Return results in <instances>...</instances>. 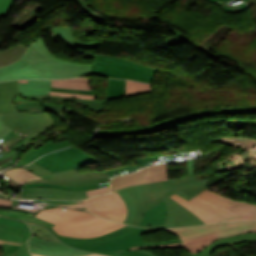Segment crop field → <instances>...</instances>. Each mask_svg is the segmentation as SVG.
Listing matches in <instances>:
<instances>
[{"label": "crop field", "instance_id": "crop-field-36", "mask_svg": "<svg viewBox=\"0 0 256 256\" xmlns=\"http://www.w3.org/2000/svg\"><path fill=\"white\" fill-rule=\"evenodd\" d=\"M28 224L31 227L34 235H36L40 238L47 239V240L59 241L47 229H45L39 225H34V224H30V223H28Z\"/></svg>", "mask_w": 256, "mask_h": 256}, {"label": "crop field", "instance_id": "crop-field-64", "mask_svg": "<svg viewBox=\"0 0 256 256\" xmlns=\"http://www.w3.org/2000/svg\"><path fill=\"white\" fill-rule=\"evenodd\" d=\"M209 1L216 3L218 0H209Z\"/></svg>", "mask_w": 256, "mask_h": 256}, {"label": "crop field", "instance_id": "crop-field-35", "mask_svg": "<svg viewBox=\"0 0 256 256\" xmlns=\"http://www.w3.org/2000/svg\"><path fill=\"white\" fill-rule=\"evenodd\" d=\"M30 250L33 252H37L44 255H52V256H75V255H84V254H90L85 251H73V252H56V251H49V250H42L37 249L30 246Z\"/></svg>", "mask_w": 256, "mask_h": 256}, {"label": "crop field", "instance_id": "crop-field-59", "mask_svg": "<svg viewBox=\"0 0 256 256\" xmlns=\"http://www.w3.org/2000/svg\"><path fill=\"white\" fill-rule=\"evenodd\" d=\"M32 253V252H31ZM33 256H44V255H40V254H36V253H32ZM84 256H102V255H99V254H95V253H92L90 255H84Z\"/></svg>", "mask_w": 256, "mask_h": 256}, {"label": "crop field", "instance_id": "crop-field-48", "mask_svg": "<svg viewBox=\"0 0 256 256\" xmlns=\"http://www.w3.org/2000/svg\"><path fill=\"white\" fill-rule=\"evenodd\" d=\"M15 256H31L27 249V242L19 247Z\"/></svg>", "mask_w": 256, "mask_h": 256}, {"label": "crop field", "instance_id": "crop-field-1", "mask_svg": "<svg viewBox=\"0 0 256 256\" xmlns=\"http://www.w3.org/2000/svg\"><path fill=\"white\" fill-rule=\"evenodd\" d=\"M205 189L206 187L184 176L169 181L138 185L120 190L118 192L124 198L128 208V215L124 223L138 226L143 218L144 211L165 200L169 210L165 224L148 227H177L203 224L204 222L198 219L191 211L173 201L174 199L172 200L169 196L176 193L189 200Z\"/></svg>", "mask_w": 256, "mask_h": 256}, {"label": "crop field", "instance_id": "crop-field-28", "mask_svg": "<svg viewBox=\"0 0 256 256\" xmlns=\"http://www.w3.org/2000/svg\"><path fill=\"white\" fill-rule=\"evenodd\" d=\"M217 239L219 238L214 233L211 235L184 241L183 244L193 254L202 250L205 246H207L208 244L212 243L214 240Z\"/></svg>", "mask_w": 256, "mask_h": 256}, {"label": "crop field", "instance_id": "crop-field-30", "mask_svg": "<svg viewBox=\"0 0 256 256\" xmlns=\"http://www.w3.org/2000/svg\"><path fill=\"white\" fill-rule=\"evenodd\" d=\"M29 244L37 247V248H43V249H50V250H56V251H73L77 249L70 248L61 242H51V241H46L43 239H39L35 236H32Z\"/></svg>", "mask_w": 256, "mask_h": 256}, {"label": "crop field", "instance_id": "crop-field-17", "mask_svg": "<svg viewBox=\"0 0 256 256\" xmlns=\"http://www.w3.org/2000/svg\"><path fill=\"white\" fill-rule=\"evenodd\" d=\"M174 126L172 118L157 122L151 126L134 129V130H98L99 135H138L164 131Z\"/></svg>", "mask_w": 256, "mask_h": 256}, {"label": "crop field", "instance_id": "crop-field-55", "mask_svg": "<svg viewBox=\"0 0 256 256\" xmlns=\"http://www.w3.org/2000/svg\"><path fill=\"white\" fill-rule=\"evenodd\" d=\"M19 82H50V80H18Z\"/></svg>", "mask_w": 256, "mask_h": 256}, {"label": "crop field", "instance_id": "crop-field-26", "mask_svg": "<svg viewBox=\"0 0 256 256\" xmlns=\"http://www.w3.org/2000/svg\"><path fill=\"white\" fill-rule=\"evenodd\" d=\"M19 91L25 95H48L50 83H18Z\"/></svg>", "mask_w": 256, "mask_h": 256}, {"label": "crop field", "instance_id": "crop-field-39", "mask_svg": "<svg viewBox=\"0 0 256 256\" xmlns=\"http://www.w3.org/2000/svg\"><path fill=\"white\" fill-rule=\"evenodd\" d=\"M25 65H27V64L19 59L18 61H16L13 64H10V65H8L6 67L0 68V75L3 74V73L9 72V71L18 69L20 67H23Z\"/></svg>", "mask_w": 256, "mask_h": 256}, {"label": "crop field", "instance_id": "crop-field-42", "mask_svg": "<svg viewBox=\"0 0 256 256\" xmlns=\"http://www.w3.org/2000/svg\"><path fill=\"white\" fill-rule=\"evenodd\" d=\"M13 0H0V16H5Z\"/></svg>", "mask_w": 256, "mask_h": 256}, {"label": "crop field", "instance_id": "crop-field-12", "mask_svg": "<svg viewBox=\"0 0 256 256\" xmlns=\"http://www.w3.org/2000/svg\"><path fill=\"white\" fill-rule=\"evenodd\" d=\"M168 165L159 164L146 167L136 173L112 178V191L132 185L168 180Z\"/></svg>", "mask_w": 256, "mask_h": 256}, {"label": "crop field", "instance_id": "crop-field-43", "mask_svg": "<svg viewBox=\"0 0 256 256\" xmlns=\"http://www.w3.org/2000/svg\"><path fill=\"white\" fill-rule=\"evenodd\" d=\"M249 108H237V109H218L217 113H248Z\"/></svg>", "mask_w": 256, "mask_h": 256}, {"label": "crop field", "instance_id": "crop-field-54", "mask_svg": "<svg viewBox=\"0 0 256 256\" xmlns=\"http://www.w3.org/2000/svg\"><path fill=\"white\" fill-rule=\"evenodd\" d=\"M194 158L187 161L189 174L192 175Z\"/></svg>", "mask_w": 256, "mask_h": 256}, {"label": "crop field", "instance_id": "crop-field-16", "mask_svg": "<svg viewBox=\"0 0 256 256\" xmlns=\"http://www.w3.org/2000/svg\"><path fill=\"white\" fill-rule=\"evenodd\" d=\"M17 81L0 82V114H8L17 112L12 101L18 94Z\"/></svg>", "mask_w": 256, "mask_h": 256}, {"label": "crop field", "instance_id": "crop-field-13", "mask_svg": "<svg viewBox=\"0 0 256 256\" xmlns=\"http://www.w3.org/2000/svg\"><path fill=\"white\" fill-rule=\"evenodd\" d=\"M202 154L203 153L201 150H196V151H189V152L166 155V156L139 158V159H134L137 164L136 166H128L124 168H117L114 170H106V172L110 176V178H112L116 175L129 173V172L138 170L144 166H149L151 164L165 163V162H182L191 157L199 156Z\"/></svg>", "mask_w": 256, "mask_h": 256}, {"label": "crop field", "instance_id": "crop-field-21", "mask_svg": "<svg viewBox=\"0 0 256 256\" xmlns=\"http://www.w3.org/2000/svg\"><path fill=\"white\" fill-rule=\"evenodd\" d=\"M21 96H23L25 98L41 101V102L64 103V102L56 101L55 99L73 100L77 103L86 105L87 107L93 109L95 112H104L105 101L65 98V97H56V96H24V95H21Z\"/></svg>", "mask_w": 256, "mask_h": 256}, {"label": "crop field", "instance_id": "crop-field-10", "mask_svg": "<svg viewBox=\"0 0 256 256\" xmlns=\"http://www.w3.org/2000/svg\"><path fill=\"white\" fill-rule=\"evenodd\" d=\"M97 162L92 156L84 151L70 147L61 151L45 155L34 163L43 166L53 172L63 171L74 168L79 172L80 166Z\"/></svg>", "mask_w": 256, "mask_h": 256}, {"label": "crop field", "instance_id": "crop-field-24", "mask_svg": "<svg viewBox=\"0 0 256 256\" xmlns=\"http://www.w3.org/2000/svg\"><path fill=\"white\" fill-rule=\"evenodd\" d=\"M2 173L7 175L8 177L12 178L13 180H15L21 186L29 180H44L40 176L22 168V167L9 169Z\"/></svg>", "mask_w": 256, "mask_h": 256}, {"label": "crop field", "instance_id": "crop-field-22", "mask_svg": "<svg viewBox=\"0 0 256 256\" xmlns=\"http://www.w3.org/2000/svg\"><path fill=\"white\" fill-rule=\"evenodd\" d=\"M228 211L239 214L243 217L225 219L221 221L256 220V205L237 201Z\"/></svg>", "mask_w": 256, "mask_h": 256}, {"label": "crop field", "instance_id": "crop-field-62", "mask_svg": "<svg viewBox=\"0 0 256 256\" xmlns=\"http://www.w3.org/2000/svg\"><path fill=\"white\" fill-rule=\"evenodd\" d=\"M237 68H239V67H237ZM240 70H242V71H244V72H246L245 70H243V69H241V68H239ZM247 73V72H246ZM245 73V74H246ZM249 76H251L254 80H256V78L254 77V76H252V75H250L249 73H247Z\"/></svg>", "mask_w": 256, "mask_h": 256}, {"label": "crop field", "instance_id": "crop-field-44", "mask_svg": "<svg viewBox=\"0 0 256 256\" xmlns=\"http://www.w3.org/2000/svg\"><path fill=\"white\" fill-rule=\"evenodd\" d=\"M31 140H32V139L27 136L25 139H23V140H21L20 142L16 143L14 146L9 147V148H7L6 150L0 152V154H3V153H5V152H7V151H9V150H11V149H13V148H15V149L17 150V149H19L21 146L27 144V143H28L29 141H31Z\"/></svg>", "mask_w": 256, "mask_h": 256}, {"label": "crop field", "instance_id": "crop-field-7", "mask_svg": "<svg viewBox=\"0 0 256 256\" xmlns=\"http://www.w3.org/2000/svg\"><path fill=\"white\" fill-rule=\"evenodd\" d=\"M84 203L68 204L64 206L82 208L87 207V210L101 217L123 223L127 208L118 192L95 196L83 201ZM62 205V204H59Z\"/></svg>", "mask_w": 256, "mask_h": 256}, {"label": "crop field", "instance_id": "crop-field-31", "mask_svg": "<svg viewBox=\"0 0 256 256\" xmlns=\"http://www.w3.org/2000/svg\"><path fill=\"white\" fill-rule=\"evenodd\" d=\"M107 186H109V182L87 185V186H79V187H64V186L49 184V183H28V184H25V186L23 188H26V187H53V188H61V189H69V190H90V189L102 188V187H107Z\"/></svg>", "mask_w": 256, "mask_h": 256}, {"label": "crop field", "instance_id": "crop-field-65", "mask_svg": "<svg viewBox=\"0 0 256 256\" xmlns=\"http://www.w3.org/2000/svg\"><path fill=\"white\" fill-rule=\"evenodd\" d=\"M0 247H2V244H0Z\"/></svg>", "mask_w": 256, "mask_h": 256}, {"label": "crop field", "instance_id": "crop-field-46", "mask_svg": "<svg viewBox=\"0 0 256 256\" xmlns=\"http://www.w3.org/2000/svg\"><path fill=\"white\" fill-rule=\"evenodd\" d=\"M175 247H183L182 243L179 244H167V245H159V246H143V247H134L130 249L136 248H175Z\"/></svg>", "mask_w": 256, "mask_h": 256}, {"label": "crop field", "instance_id": "crop-field-3", "mask_svg": "<svg viewBox=\"0 0 256 256\" xmlns=\"http://www.w3.org/2000/svg\"><path fill=\"white\" fill-rule=\"evenodd\" d=\"M20 59L29 65L1 75L0 80L18 78H73L89 75L91 71V65L57 59L45 46L42 38L36 41Z\"/></svg>", "mask_w": 256, "mask_h": 256}, {"label": "crop field", "instance_id": "crop-field-47", "mask_svg": "<svg viewBox=\"0 0 256 256\" xmlns=\"http://www.w3.org/2000/svg\"><path fill=\"white\" fill-rule=\"evenodd\" d=\"M51 91L70 92V93H84V94H96L94 91L69 90V89H57V88H51Z\"/></svg>", "mask_w": 256, "mask_h": 256}, {"label": "crop field", "instance_id": "crop-field-53", "mask_svg": "<svg viewBox=\"0 0 256 256\" xmlns=\"http://www.w3.org/2000/svg\"><path fill=\"white\" fill-rule=\"evenodd\" d=\"M19 133H17V132H15V131H13L12 130V132L9 134V135H7L6 137H4V138H2L4 141H8V140H10V139H12L14 136H16V135H18Z\"/></svg>", "mask_w": 256, "mask_h": 256}, {"label": "crop field", "instance_id": "crop-field-60", "mask_svg": "<svg viewBox=\"0 0 256 256\" xmlns=\"http://www.w3.org/2000/svg\"><path fill=\"white\" fill-rule=\"evenodd\" d=\"M136 250L142 251V252L147 253V254H149L151 256H157V255L151 253L150 251H146V250H142V249H136Z\"/></svg>", "mask_w": 256, "mask_h": 256}, {"label": "crop field", "instance_id": "crop-field-9", "mask_svg": "<svg viewBox=\"0 0 256 256\" xmlns=\"http://www.w3.org/2000/svg\"><path fill=\"white\" fill-rule=\"evenodd\" d=\"M179 236L181 241L216 233L221 237L232 236L240 233L256 232V221L236 223H212L201 226L167 229Z\"/></svg>", "mask_w": 256, "mask_h": 256}, {"label": "crop field", "instance_id": "crop-field-66", "mask_svg": "<svg viewBox=\"0 0 256 256\" xmlns=\"http://www.w3.org/2000/svg\"><path fill=\"white\" fill-rule=\"evenodd\" d=\"M244 1H247V0H244Z\"/></svg>", "mask_w": 256, "mask_h": 256}, {"label": "crop field", "instance_id": "crop-field-8", "mask_svg": "<svg viewBox=\"0 0 256 256\" xmlns=\"http://www.w3.org/2000/svg\"><path fill=\"white\" fill-rule=\"evenodd\" d=\"M25 168L39 174L41 177L45 179V181H29V182H50L61 184L65 186H79V185H87L99 182H107L110 180L105 171L102 172H85V173H77L74 169L52 173L34 163H31ZM24 186V185H23ZM22 186V187H23Z\"/></svg>", "mask_w": 256, "mask_h": 256}, {"label": "crop field", "instance_id": "crop-field-32", "mask_svg": "<svg viewBox=\"0 0 256 256\" xmlns=\"http://www.w3.org/2000/svg\"><path fill=\"white\" fill-rule=\"evenodd\" d=\"M60 33L65 43L70 47L97 48L98 44H81L76 41L72 34V29L68 27H59Z\"/></svg>", "mask_w": 256, "mask_h": 256}, {"label": "crop field", "instance_id": "crop-field-19", "mask_svg": "<svg viewBox=\"0 0 256 256\" xmlns=\"http://www.w3.org/2000/svg\"><path fill=\"white\" fill-rule=\"evenodd\" d=\"M242 242H256V233L240 234L232 237L222 238L214 241L211 245L192 256H210L211 251L224 244H235Z\"/></svg>", "mask_w": 256, "mask_h": 256}, {"label": "crop field", "instance_id": "crop-field-6", "mask_svg": "<svg viewBox=\"0 0 256 256\" xmlns=\"http://www.w3.org/2000/svg\"><path fill=\"white\" fill-rule=\"evenodd\" d=\"M157 70L128 60L95 55L91 74L151 83Z\"/></svg>", "mask_w": 256, "mask_h": 256}, {"label": "crop field", "instance_id": "crop-field-25", "mask_svg": "<svg viewBox=\"0 0 256 256\" xmlns=\"http://www.w3.org/2000/svg\"><path fill=\"white\" fill-rule=\"evenodd\" d=\"M89 80L90 78L51 80V87L91 90Z\"/></svg>", "mask_w": 256, "mask_h": 256}, {"label": "crop field", "instance_id": "crop-field-45", "mask_svg": "<svg viewBox=\"0 0 256 256\" xmlns=\"http://www.w3.org/2000/svg\"><path fill=\"white\" fill-rule=\"evenodd\" d=\"M222 8L226 11L237 13V12L244 10L246 8V5L244 3H242V4L236 5V6H229V7H222Z\"/></svg>", "mask_w": 256, "mask_h": 256}, {"label": "crop field", "instance_id": "crop-field-50", "mask_svg": "<svg viewBox=\"0 0 256 256\" xmlns=\"http://www.w3.org/2000/svg\"><path fill=\"white\" fill-rule=\"evenodd\" d=\"M12 129L8 128L7 126L2 124L1 117H0V139L9 134Z\"/></svg>", "mask_w": 256, "mask_h": 256}, {"label": "crop field", "instance_id": "crop-field-18", "mask_svg": "<svg viewBox=\"0 0 256 256\" xmlns=\"http://www.w3.org/2000/svg\"><path fill=\"white\" fill-rule=\"evenodd\" d=\"M71 144L69 143L68 140L63 141V142H58L56 144H53L51 142H46L44 143L39 149L34 150V149H29L27 153L22 157V159L15 165V166H21L30 163L31 161L37 159L41 155L51 152V151H56L65 147H69Z\"/></svg>", "mask_w": 256, "mask_h": 256}, {"label": "crop field", "instance_id": "crop-field-56", "mask_svg": "<svg viewBox=\"0 0 256 256\" xmlns=\"http://www.w3.org/2000/svg\"><path fill=\"white\" fill-rule=\"evenodd\" d=\"M35 201H42V200H35ZM47 203H62V204H68V203H75V202H61V201H43Z\"/></svg>", "mask_w": 256, "mask_h": 256}, {"label": "crop field", "instance_id": "crop-field-40", "mask_svg": "<svg viewBox=\"0 0 256 256\" xmlns=\"http://www.w3.org/2000/svg\"><path fill=\"white\" fill-rule=\"evenodd\" d=\"M49 95L86 98V99H95V97H96V95L70 94V93H60V92H50Z\"/></svg>", "mask_w": 256, "mask_h": 256}, {"label": "crop field", "instance_id": "crop-field-15", "mask_svg": "<svg viewBox=\"0 0 256 256\" xmlns=\"http://www.w3.org/2000/svg\"><path fill=\"white\" fill-rule=\"evenodd\" d=\"M20 94L15 96L13 101V104L17 108L18 112L28 111L31 113H39L50 111L56 113L62 121H66L64 114L65 106L63 104L41 103L33 100H28L22 98Z\"/></svg>", "mask_w": 256, "mask_h": 256}, {"label": "crop field", "instance_id": "crop-field-14", "mask_svg": "<svg viewBox=\"0 0 256 256\" xmlns=\"http://www.w3.org/2000/svg\"><path fill=\"white\" fill-rule=\"evenodd\" d=\"M18 198L77 200L87 198L85 191H68L53 188L21 189Z\"/></svg>", "mask_w": 256, "mask_h": 256}, {"label": "crop field", "instance_id": "crop-field-33", "mask_svg": "<svg viewBox=\"0 0 256 256\" xmlns=\"http://www.w3.org/2000/svg\"><path fill=\"white\" fill-rule=\"evenodd\" d=\"M152 92L151 84L139 83L127 80L126 95L130 97L141 93Z\"/></svg>", "mask_w": 256, "mask_h": 256}, {"label": "crop field", "instance_id": "crop-field-34", "mask_svg": "<svg viewBox=\"0 0 256 256\" xmlns=\"http://www.w3.org/2000/svg\"><path fill=\"white\" fill-rule=\"evenodd\" d=\"M78 5L84 10V12L97 24L103 23L106 19L103 15L89 8L85 0H75Z\"/></svg>", "mask_w": 256, "mask_h": 256}, {"label": "crop field", "instance_id": "crop-field-27", "mask_svg": "<svg viewBox=\"0 0 256 256\" xmlns=\"http://www.w3.org/2000/svg\"><path fill=\"white\" fill-rule=\"evenodd\" d=\"M126 80L108 79L105 100L124 97Z\"/></svg>", "mask_w": 256, "mask_h": 256}, {"label": "crop field", "instance_id": "crop-field-23", "mask_svg": "<svg viewBox=\"0 0 256 256\" xmlns=\"http://www.w3.org/2000/svg\"><path fill=\"white\" fill-rule=\"evenodd\" d=\"M31 232L27 230L15 229L0 226V239L12 242L23 243L30 237Z\"/></svg>", "mask_w": 256, "mask_h": 256}, {"label": "crop field", "instance_id": "crop-field-58", "mask_svg": "<svg viewBox=\"0 0 256 256\" xmlns=\"http://www.w3.org/2000/svg\"><path fill=\"white\" fill-rule=\"evenodd\" d=\"M187 176L190 177V178H192V179H194V180H196L197 182H199V183L205 185L207 188L210 186L209 184H207V183H205V182H203V181H200V180L195 179V177H193V176H190V175H187Z\"/></svg>", "mask_w": 256, "mask_h": 256}, {"label": "crop field", "instance_id": "crop-field-52", "mask_svg": "<svg viewBox=\"0 0 256 256\" xmlns=\"http://www.w3.org/2000/svg\"><path fill=\"white\" fill-rule=\"evenodd\" d=\"M11 203H12V200L0 198V206H1V207H7V208H9L10 205H11Z\"/></svg>", "mask_w": 256, "mask_h": 256}, {"label": "crop field", "instance_id": "crop-field-61", "mask_svg": "<svg viewBox=\"0 0 256 256\" xmlns=\"http://www.w3.org/2000/svg\"><path fill=\"white\" fill-rule=\"evenodd\" d=\"M249 113H256V108H250Z\"/></svg>", "mask_w": 256, "mask_h": 256}, {"label": "crop field", "instance_id": "crop-field-29", "mask_svg": "<svg viewBox=\"0 0 256 256\" xmlns=\"http://www.w3.org/2000/svg\"><path fill=\"white\" fill-rule=\"evenodd\" d=\"M26 49L27 46L19 43L7 51L0 52V66H4L16 61L21 55H23Z\"/></svg>", "mask_w": 256, "mask_h": 256}, {"label": "crop field", "instance_id": "crop-field-38", "mask_svg": "<svg viewBox=\"0 0 256 256\" xmlns=\"http://www.w3.org/2000/svg\"><path fill=\"white\" fill-rule=\"evenodd\" d=\"M0 225H5V226H10V227H16V228H22V229H28L27 224L20 222V221H16L13 219H8V218H2L0 217Z\"/></svg>", "mask_w": 256, "mask_h": 256}, {"label": "crop field", "instance_id": "crop-field-20", "mask_svg": "<svg viewBox=\"0 0 256 256\" xmlns=\"http://www.w3.org/2000/svg\"><path fill=\"white\" fill-rule=\"evenodd\" d=\"M167 212L166 203L163 201L144 212L145 216L139 226L163 224L167 217Z\"/></svg>", "mask_w": 256, "mask_h": 256}, {"label": "crop field", "instance_id": "crop-field-41", "mask_svg": "<svg viewBox=\"0 0 256 256\" xmlns=\"http://www.w3.org/2000/svg\"><path fill=\"white\" fill-rule=\"evenodd\" d=\"M19 245L3 243V256H14Z\"/></svg>", "mask_w": 256, "mask_h": 256}, {"label": "crop field", "instance_id": "crop-field-63", "mask_svg": "<svg viewBox=\"0 0 256 256\" xmlns=\"http://www.w3.org/2000/svg\"><path fill=\"white\" fill-rule=\"evenodd\" d=\"M0 242L3 243V242H6V241H1V240H0ZM7 243H12V242H7ZM14 244H18V243H14Z\"/></svg>", "mask_w": 256, "mask_h": 256}, {"label": "crop field", "instance_id": "crop-field-57", "mask_svg": "<svg viewBox=\"0 0 256 256\" xmlns=\"http://www.w3.org/2000/svg\"><path fill=\"white\" fill-rule=\"evenodd\" d=\"M11 185L15 186L17 189H20L21 186H19L16 182H14L12 179L7 180Z\"/></svg>", "mask_w": 256, "mask_h": 256}, {"label": "crop field", "instance_id": "crop-field-37", "mask_svg": "<svg viewBox=\"0 0 256 256\" xmlns=\"http://www.w3.org/2000/svg\"><path fill=\"white\" fill-rule=\"evenodd\" d=\"M211 115H215L214 110L207 111V112H196V113H192V114H188V115H182V116L174 117L173 120L175 123H178V122L189 120V119H194V118L204 117V116H211Z\"/></svg>", "mask_w": 256, "mask_h": 256}, {"label": "crop field", "instance_id": "crop-field-2", "mask_svg": "<svg viewBox=\"0 0 256 256\" xmlns=\"http://www.w3.org/2000/svg\"><path fill=\"white\" fill-rule=\"evenodd\" d=\"M0 215L9 217V218H16L22 221L41 224L46 228L50 229L51 232L56 237H58L62 242L72 247H76L85 251L98 252L106 255L149 256L147 254H144L136 250H129L128 247L180 242L179 239H175V240L164 241L159 243H145V241L140 235L146 233V229L148 228H136V227H130V226H126L122 229H119L117 231H114L109 234L96 237V238H88V239L70 238V237L58 236L59 234L57 235V233L51 228L55 224L40 218L19 215L15 213L4 212V211H0Z\"/></svg>", "mask_w": 256, "mask_h": 256}, {"label": "crop field", "instance_id": "crop-field-11", "mask_svg": "<svg viewBox=\"0 0 256 256\" xmlns=\"http://www.w3.org/2000/svg\"><path fill=\"white\" fill-rule=\"evenodd\" d=\"M1 116L3 124L33 139L46 129L53 127V121L46 113L31 114L22 112Z\"/></svg>", "mask_w": 256, "mask_h": 256}, {"label": "crop field", "instance_id": "crop-field-51", "mask_svg": "<svg viewBox=\"0 0 256 256\" xmlns=\"http://www.w3.org/2000/svg\"><path fill=\"white\" fill-rule=\"evenodd\" d=\"M25 137H26V135L20 134V135L14 137L12 140H10V141L4 143L3 145H4L5 147H9V146L15 144L16 142L20 141L21 139H23V138H25Z\"/></svg>", "mask_w": 256, "mask_h": 256}, {"label": "crop field", "instance_id": "crop-field-4", "mask_svg": "<svg viewBox=\"0 0 256 256\" xmlns=\"http://www.w3.org/2000/svg\"><path fill=\"white\" fill-rule=\"evenodd\" d=\"M95 216L74 209L61 210L59 207L44 210L36 215L57 224L53 229L59 235L71 237H95L126 226Z\"/></svg>", "mask_w": 256, "mask_h": 256}, {"label": "crop field", "instance_id": "crop-field-49", "mask_svg": "<svg viewBox=\"0 0 256 256\" xmlns=\"http://www.w3.org/2000/svg\"><path fill=\"white\" fill-rule=\"evenodd\" d=\"M109 191H110V187L86 191V192H87V196L89 197V196L98 195V194H102Z\"/></svg>", "mask_w": 256, "mask_h": 256}, {"label": "crop field", "instance_id": "crop-field-5", "mask_svg": "<svg viewBox=\"0 0 256 256\" xmlns=\"http://www.w3.org/2000/svg\"><path fill=\"white\" fill-rule=\"evenodd\" d=\"M170 197L191 210L205 223L220 221L225 218L238 217V215L226 211L236 202L235 200L216 194L208 189L189 201L175 194Z\"/></svg>", "mask_w": 256, "mask_h": 256}]
</instances>
